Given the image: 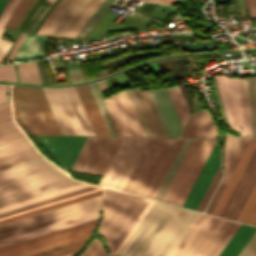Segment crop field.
<instances>
[{"mask_svg": "<svg viewBox=\"0 0 256 256\" xmlns=\"http://www.w3.org/2000/svg\"><path fill=\"white\" fill-rule=\"evenodd\" d=\"M255 231L256 227L241 224L218 256H237Z\"/></svg>", "mask_w": 256, "mask_h": 256, "instance_id": "4177f3b9", "label": "crop field"}, {"mask_svg": "<svg viewBox=\"0 0 256 256\" xmlns=\"http://www.w3.org/2000/svg\"><path fill=\"white\" fill-rule=\"evenodd\" d=\"M251 256H256V250L254 251V253Z\"/></svg>", "mask_w": 256, "mask_h": 256, "instance_id": "db79e9e6", "label": "crop field"}, {"mask_svg": "<svg viewBox=\"0 0 256 256\" xmlns=\"http://www.w3.org/2000/svg\"><path fill=\"white\" fill-rule=\"evenodd\" d=\"M24 140H27V138L24 137V138L17 139V140L8 142V143L1 144V145H0V148H1V147H4V146H7V145H11V144L17 143V142H20V141H24Z\"/></svg>", "mask_w": 256, "mask_h": 256, "instance_id": "dbb93151", "label": "crop field"}, {"mask_svg": "<svg viewBox=\"0 0 256 256\" xmlns=\"http://www.w3.org/2000/svg\"><path fill=\"white\" fill-rule=\"evenodd\" d=\"M8 85H0V103L7 101Z\"/></svg>", "mask_w": 256, "mask_h": 256, "instance_id": "25e5ab78", "label": "crop field"}, {"mask_svg": "<svg viewBox=\"0 0 256 256\" xmlns=\"http://www.w3.org/2000/svg\"><path fill=\"white\" fill-rule=\"evenodd\" d=\"M100 196L0 226V238L99 208Z\"/></svg>", "mask_w": 256, "mask_h": 256, "instance_id": "cbeb9de0", "label": "crop field"}, {"mask_svg": "<svg viewBox=\"0 0 256 256\" xmlns=\"http://www.w3.org/2000/svg\"><path fill=\"white\" fill-rule=\"evenodd\" d=\"M43 146L65 171L71 166L86 137L38 136ZM66 164V167L64 165ZM67 172V171H66Z\"/></svg>", "mask_w": 256, "mask_h": 256, "instance_id": "4a817a6b", "label": "crop field"}, {"mask_svg": "<svg viewBox=\"0 0 256 256\" xmlns=\"http://www.w3.org/2000/svg\"><path fill=\"white\" fill-rule=\"evenodd\" d=\"M12 106L14 119L32 132L61 135L41 88L13 86Z\"/></svg>", "mask_w": 256, "mask_h": 256, "instance_id": "d8731c3e", "label": "crop field"}, {"mask_svg": "<svg viewBox=\"0 0 256 256\" xmlns=\"http://www.w3.org/2000/svg\"><path fill=\"white\" fill-rule=\"evenodd\" d=\"M221 176H222L221 171L218 168V170H217L213 180L211 181V183H210V185H209L205 195L203 196V198H202V200H201V202H200V204H199V206L197 208L198 211H204V209H205V207H206V205H207V203H208L212 193L214 192V190H215V188H216V186H217Z\"/></svg>", "mask_w": 256, "mask_h": 256, "instance_id": "5866460e", "label": "crop field"}, {"mask_svg": "<svg viewBox=\"0 0 256 256\" xmlns=\"http://www.w3.org/2000/svg\"><path fill=\"white\" fill-rule=\"evenodd\" d=\"M102 187L83 183L30 200H26L17 204L0 208V220L26 213L35 209H39L48 205L62 202L71 198H75L84 194L101 190Z\"/></svg>", "mask_w": 256, "mask_h": 256, "instance_id": "d9b57169", "label": "crop field"}, {"mask_svg": "<svg viewBox=\"0 0 256 256\" xmlns=\"http://www.w3.org/2000/svg\"><path fill=\"white\" fill-rule=\"evenodd\" d=\"M171 99L176 107V110L180 116V119L184 125L188 115H189V110L187 108L186 102L184 100V97L182 95V92L179 88V86L168 88L167 89Z\"/></svg>", "mask_w": 256, "mask_h": 256, "instance_id": "750c4746", "label": "crop field"}, {"mask_svg": "<svg viewBox=\"0 0 256 256\" xmlns=\"http://www.w3.org/2000/svg\"><path fill=\"white\" fill-rule=\"evenodd\" d=\"M44 158L0 170V207L82 183Z\"/></svg>", "mask_w": 256, "mask_h": 256, "instance_id": "ac0d7876", "label": "crop field"}, {"mask_svg": "<svg viewBox=\"0 0 256 256\" xmlns=\"http://www.w3.org/2000/svg\"><path fill=\"white\" fill-rule=\"evenodd\" d=\"M255 145H256V139H252L251 138L249 140V142H248V144H247V146H246V148H245V150H244V152H243V154H242L238 164L236 165V167H235V169H234V171H233V173H232V175H231V177H230V179H229L225 189L223 190V192H222V194H221V196H220V198H219V200H218V202H217L213 212H212L213 215H217L218 216L220 214V212H221V210H222V208H223V206H224L228 196L230 195V193H231V191H232V189H233V187H234L238 177L240 176V174H241V172H242V170H243L247 160L249 159V157H250V155H251Z\"/></svg>", "mask_w": 256, "mask_h": 256, "instance_id": "a9b5d70f", "label": "crop field"}, {"mask_svg": "<svg viewBox=\"0 0 256 256\" xmlns=\"http://www.w3.org/2000/svg\"><path fill=\"white\" fill-rule=\"evenodd\" d=\"M12 113H11V108L6 107V108H2L0 109V124L5 123V122H9L12 121Z\"/></svg>", "mask_w": 256, "mask_h": 256, "instance_id": "b54c1fbb", "label": "crop field"}, {"mask_svg": "<svg viewBox=\"0 0 256 256\" xmlns=\"http://www.w3.org/2000/svg\"><path fill=\"white\" fill-rule=\"evenodd\" d=\"M45 40L43 37L27 34L13 61L44 56L42 48Z\"/></svg>", "mask_w": 256, "mask_h": 256, "instance_id": "730fd06b", "label": "crop field"}, {"mask_svg": "<svg viewBox=\"0 0 256 256\" xmlns=\"http://www.w3.org/2000/svg\"><path fill=\"white\" fill-rule=\"evenodd\" d=\"M101 192H102V190L98 191V192L88 194V195H84V196H81V197H78V198H75V199H71V200H68V201H65V202H62V203H58V204H55V205H52V206H48V207H45V208H42V209H39V210H35V211L29 212V213H26V214H22V215H19V216H16V217H12V218L0 221V225L9 223V222H12V221H15V220H19V219H22V218H25V217H28V216H32V215H35V214H38V213H41V212H45V211H48V210H51V209H54V208H58V207H61V206L67 205V204H71V203H74V202H77V201H80V200H84V199H87V198H90V197H93V196H97V195H100Z\"/></svg>", "mask_w": 256, "mask_h": 256, "instance_id": "bd1437ed", "label": "crop field"}, {"mask_svg": "<svg viewBox=\"0 0 256 256\" xmlns=\"http://www.w3.org/2000/svg\"><path fill=\"white\" fill-rule=\"evenodd\" d=\"M113 2L114 0H105L75 37L84 38Z\"/></svg>", "mask_w": 256, "mask_h": 256, "instance_id": "d32e631a", "label": "crop field"}, {"mask_svg": "<svg viewBox=\"0 0 256 256\" xmlns=\"http://www.w3.org/2000/svg\"><path fill=\"white\" fill-rule=\"evenodd\" d=\"M238 139H239L238 137H234L231 134L226 132V142H225V146H224L225 164H226L231 152L233 151ZM248 140H249V138H245V137H241L239 139L233 153L231 154V156L225 166V175H224L219 187L217 188L213 198L211 199L205 212L211 214V212H212L223 188L225 187L236 163L238 162Z\"/></svg>", "mask_w": 256, "mask_h": 256, "instance_id": "92a150f3", "label": "crop field"}, {"mask_svg": "<svg viewBox=\"0 0 256 256\" xmlns=\"http://www.w3.org/2000/svg\"><path fill=\"white\" fill-rule=\"evenodd\" d=\"M180 137L189 138H216L217 127L208 110L190 116Z\"/></svg>", "mask_w": 256, "mask_h": 256, "instance_id": "dafd665d", "label": "crop field"}, {"mask_svg": "<svg viewBox=\"0 0 256 256\" xmlns=\"http://www.w3.org/2000/svg\"><path fill=\"white\" fill-rule=\"evenodd\" d=\"M69 135H94L74 87L49 89ZM48 89H43L62 134H68Z\"/></svg>", "mask_w": 256, "mask_h": 256, "instance_id": "3316defc", "label": "crop field"}, {"mask_svg": "<svg viewBox=\"0 0 256 256\" xmlns=\"http://www.w3.org/2000/svg\"><path fill=\"white\" fill-rule=\"evenodd\" d=\"M81 256H112L105 252L100 240L94 238L87 250Z\"/></svg>", "mask_w": 256, "mask_h": 256, "instance_id": "028f5c9d", "label": "crop field"}, {"mask_svg": "<svg viewBox=\"0 0 256 256\" xmlns=\"http://www.w3.org/2000/svg\"><path fill=\"white\" fill-rule=\"evenodd\" d=\"M6 2H7V0H0V12H1V10L4 7Z\"/></svg>", "mask_w": 256, "mask_h": 256, "instance_id": "1d79db26", "label": "crop field"}, {"mask_svg": "<svg viewBox=\"0 0 256 256\" xmlns=\"http://www.w3.org/2000/svg\"><path fill=\"white\" fill-rule=\"evenodd\" d=\"M96 220L1 248L0 256H33L62 245L85 240L92 233Z\"/></svg>", "mask_w": 256, "mask_h": 256, "instance_id": "28ad6ade", "label": "crop field"}, {"mask_svg": "<svg viewBox=\"0 0 256 256\" xmlns=\"http://www.w3.org/2000/svg\"><path fill=\"white\" fill-rule=\"evenodd\" d=\"M32 147V144L29 142V140L24 141V142H20L11 146H7L4 148L0 149V156L5 155V154H9L15 151H19L25 148H29Z\"/></svg>", "mask_w": 256, "mask_h": 256, "instance_id": "b80d0937", "label": "crop field"}, {"mask_svg": "<svg viewBox=\"0 0 256 256\" xmlns=\"http://www.w3.org/2000/svg\"><path fill=\"white\" fill-rule=\"evenodd\" d=\"M111 136H119L97 84H88Z\"/></svg>", "mask_w": 256, "mask_h": 256, "instance_id": "eef30255", "label": "crop field"}, {"mask_svg": "<svg viewBox=\"0 0 256 256\" xmlns=\"http://www.w3.org/2000/svg\"><path fill=\"white\" fill-rule=\"evenodd\" d=\"M0 80L16 82L13 65L0 66Z\"/></svg>", "mask_w": 256, "mask_h": 256, "instance_id": "c035e120", "label": "crop field"}, {"mask_svg": "<svg viewBox=\"0 0 256 256\" xmlns=\"http://www.w3.org/2000/svg\"><path fill=\"white\" fill-rule=\"evenodd\" d=\"M254 225L256 226V221H255Z\"/></svg>", "mask_w": 256, "mask_h": 256, "instance_id": "78b8030e", "label": "crop field"}, {"mask_svg": "<svg viewBox=\"0 0 256 256\" xmlns=\"http://www.w3.org/2000/svg\"><path fill=\"white\" fill-rule=\"evenodd\" d=\"M93 137H88L72 170H77ZM122 138L94 137L77 171L103 175Z\"/></svg>", "mask_w": 256, "mask_h": 256, "instance_id": "5142ce71", "label": "crop field"}, {"mask_svg": "<svg viewBox=\"0 0 256 256\" xmlns=\"http://www.w3.org/2000/svg\"><path fill=\"white\" fill-rule=\"evenodd\" d=\"M196 95H197V93L195 92L192 114L195 113L196 111L200 110V106H199L198 100L196 98Z\"/></svg>", "mask_w": 256, "mask_h": 256, "instance_id": "89e229c0", "label": "crop field"}, {"mask_svg": "<svg viewBox=\"0 0 256 256\" xmlns=\"http://www.w3.org/2000/svg\"><path fill=\"white\" fill-rule=\"evenodd\" d=\"M13 1H14V0H8V2L6 3V5H5V7H4V9H3V11H2V13H1V15H0V25H1V23H2V21H3V19H4V17H5V15H6V13H7L9 7H10V5L12 4Z\"/></svg>", "mask_w": 256, "mask_h": 256, "instance_id": "73cf0c24", "label": "crop field"}, {"mask_svg": "<svg viewBox=\"0 0 256 256\" xmlns=\"http://www.w3.org/2000/svg\"><path fill=\"white\" fill-rule=\"evenodd\" d=\"M143 1H151V2H159V3H168V4H172V3L175 2L176 0H143Z\"/></svg>", "mask_w": 256, "mask_h": 256, "instance_id": "0fb4a251", "label": "crop field"}, {"mask_svg": "<svg viewBox=\"0 0 256 256\" xmlns=\"http://www.w3.org/2000/svg\"><path fill=\"white\" fill-rule=\"evenodd\" d=\"M84 242L85 241H82V242H79V243H76V244H72V245H68V246H65L63 248H60V249H57V250H54V251H51V252H48V253H44V254H41V255H38V256H61V255L67 254V253H71V252L76 251L80 247H82Z\"/></svg>", "mask_w": 256, "mask_h": 256, "instance_id": "e1f06a70", "label": "crop field"}, {"mask_svg": "<svg viewBox=\"0 0 256 256\" xmlns=\"http://www.w3.org/2000/svg\"><path fill=\"white\" fill-rule=\"evenodd\" d=\"M148 138H123L100 185L122 190Z\"/></svg>", "mask_w": 256, "mask_h": 256, "instance_id": "22f410ed", "label": "crop field"}, {"mask_svg": "<svg viewBox=\"0 0 256 256\" xmlns=\"http://www.w3.org/2000/svg\"><path fill=\"white\" fill-rule=\"evenodd\" d=\"M126 92L145 136H178L183 125L166 88Z\"/></svg>", "mask_w": 256, "mask_h": 256, "instance_id": "dd49c442", "label": "crop field"}, {"mask_svg": "<svg viewBox=\"0 0 256 256\" xmlns=\"http://www.w3.org/2000/svg\"><path fill=\"white\" fill-rule=\"evenodd\" d=\"M215 83L222 99L229 127L239 132L238 125H242L244 135L252 137L249 108H241V103L242 107H248L245 80H239L241 103L238 79L215 75Z\"/></svg>", "mask_w": 256, "mask_h": 256, "instance_id": "d1516ede", "label": "crop field"}, {"mask_svg": "<svg viewBox=\"0 0 256 256\" xmlns=\"http://www.w3.org/2000/svg\"><path fill=\"white\" fill-rule=\"evenodd\" d=\"M256 249V232L238 256H250Z\"/></svg>", "mask_w": 256, "mask_h": 256, "instance_id": "c21b1889", "label": "crop field"}, {"mask_svg": "<svg viewBox=\"0 0 256 256\" xmlns=\"http://www.w3.org/2000/svg\"><path fill=\"white\" fill-rule=\"evenodd\" d=\"M154 200L104 188L103 217L98 229L110 253L116 254Z\"/></svg>", "mask_w": 256, "mask_h": 256, "instance_id": "34b2d1b8", "label": "crop field"}, {"mask_svg": "<svg viewBox=\"0 0 256 256\" xmlns=\"http://www.w3.org/2000/svg\"><path fill=\"white\" fill-rule=\"evenodd\" d=\"M20 137H24L23 133L21 131L15 132V133L0 137V143H4V142L10 141V140H14V139H17V138H20Z\"/></svg>", "mask_w": 256, "mask_h": 256, "instance_id": "d23c7cc5", "label": "crop field"}, {"mask_svg": "<svg viewBox=\"0 0 256 256\" xmlns=\"http://www.w3.org/2000/svg\"><path fill=\"white\" fill-rule=\"evenodd\" d=\"M49 4H50V2H46V1H44V2H43V4H42V6L47 5V7H48V6H49Z\"/></svg>", "mask_w": 256, "mask_h": 256, "instance_id": "0765c3eb", "label": "crop field"}, {"mask_svg": "<svg viewBox=\"0 0 256 256\" xmlns=\"http://www.w3.org/2000/svg\"><path fill=\"white\" fill-rule=\"evenodd\" d=\"M99 210V209H98ZM98 210L0 239V248L97 218Z\"/></svg>", "mask_w": 256, "mask_h": 256, "instance_id": "214f88e0", "label": "crop field"}, {"mask_svg": "<svg viewBox=\"0 0 256 256\" xmlns=\"http://www.w3.org/2000/svg\"><path fill=\"white\" fill-rule=\"evenodd\" d=\"M214 142L185 139L155 199L182 206Z\"/></svg>", "mask_w": 256, "mask_h": 256, "instance_id": "f4fd0767", "label": "crop field"}, {"mask_svg": "<svg viewBox=\"0 0 256 256\" xmlns=\"http://www.w3.org/2000/svg\"><path fill=\"white\" fill-rule=\"evenodd\" d=\"M33 20H30V22L28 23V25L26 26L27 28H29L30 24L32 23ZM37 21H33V23L31 24L29 29H24L25 32H29L31 33L32 29L34 28V26L36 25Z\"/></svg>", "mask_w": 256, "mask_h": 256, "instance_id": "1f2cbd36", "label": "crop field"}, {"mask_svg": "<svg viewBox=\"0 0 256 256\" xmlns=\"http://www.w3.org/2000/svg\"><path fill=\"white\" fill-rule=\"evenodd\" d=\"M39 1H40V0H36V2L34 3V5L32 6V8L30 9V11L28 12V14L26 15V17L29 16V14L31 13V11L33 10V8L35 7V5H36ZM43 1H44V0H41V1L37 4V6L34 8V10L32 11V13L30 14V16L27 17V19H26V17L24 18V20L22 21V23H21V24L19 25V27L17 28V31H19V29L21 28L23 22H24L25 19H26V21H25L23 27H22L21 30H20V31H23L25 25L27 24V22L29 21V19L32 17V15H33L34 12L36 11V9L41 5V3H42Z\"/></svg>", "mask_w": 256, "mask_h": 256, "instance_id": "5d738f31", "label": "crop field"}, {"mask_svg": "<svg viewBox=\"0 0 256 256\" xmlns=\"http://www.w3.org/2000/svg\"><path fill=\"white\" fill-rule=\"evenodd\" d=\"M256 147L250 157V159L248 160L240 178L238 179L230 197L228 198L220 216L221 217H225V218H229V219H233L236 220L244 202L246 201L255 181H256ZM255 153V155H254ZM254 155V157H253ZM253 157V159H252ZM252 159V161H251ZM251 161V163H250ZM250 163V165H249ZM249 165V167H248ZM255 166V168H254ZM248 167V169H247ZM254 168V170H253ZM247 169V171L249 172H253L252 173H248L245 172Z\"/></svg>", "mask_w": 256, "mask_h": 256, "instance_id": "733c2abd", "label": "crop field"}, {"mask_svg": "<svg viewBox=\"0 0 256 256\" xmlns=\"http://www.w3.org/2000/svg\"><path fill=\"white\" fill-rule=\"evenodd\" d=\"M19 131L14 121L0 125V136Z\"/></svg>", "mask_w": 256, "mask_h": 256, "instance_id": "03da06ac", "label": "crop field"}, {"mask_svg": "<svg viewBox=\"0 0 256 256\" xmlns=\"http://www.w3.org/2000/svg\"><path fill=\"white\" fill-rule=\"evenodd\" d=\"M73 253H71V254H68V255H64V256H71Z\"/></svg>", "mask_w": 256, "mask_h": 256, "instance_id": "7b73153f", "label": "crop field"}, {"mask_svg": "<svg viewBox=\"0 0 256 256\" xmlns=\"http://www.w3.org/2000/svg\"><path fill=\"white\" fill-rule=\"evenodd\" d=\"M199 215L155 201L117 255L169 256Z\"/></svg>", "mask_w": 256, "mask_h": 256, "instance_id": "8a807250", "label": "crop field"}, {"mask_svg": "<svg viewBox=\"0 0 256 256\" xmlns=\"http://www.w3.org/2000/svg\"><path fill=\"white\" fill-rule=\"evenodd\" d=\"M9 105H10V102L5 103V104H1V105H0V108H2V107H6V106H9Z\"/></svg>", "mask_w": 256, "mask_h": 256, "instance_id": "447ae74e", "label": "crop field"}, {"mask_svg": "<svg viewBox=\"0 0 256 256\" xmlns=\"http://www.w3.org/2000/svg\"><path fill=\"white\" fill-rule=\"evenodd\" d=\"M25 36H26V34L21 33V35H20L14 49L12 50L10 56L8 57L7 61H12L14 55L16 54V52H17L18 48L20 47L22 41L24 40Z\"/></svg>", "mask_w": 256, "mask_h": 256, "instance_id": "425ffa30", "label": "crop field"}, {"mask_svg": "<svg viewBox=\"0 0 256 256\" xmlns=\"http://www.w3.org/2000/svg\"><path fill=\"white\" fill-rule=\"evenodd\" d=\"M253 137H256V77L246 79Z\"/></svg>", "mask_w": 256, "mask_h": 256, "instance_id": "120bbe31", "label": "crop field"}, {"mask_svg": "<svg viewBox=\"0 0 256 256\" xmlns=\"http://www.w3.org/2000/svg\"><path fill=\"white\" fill-rule=\"evenodd\" d=\"M19 1L20 0H15L14 3L12 4V6H11V8H10V10H9V12H8V14H7V16H6L2 26H1V28H0V35H1L2 31H3L2 28H3L4 24H5L8 16L10 15V13L12 12V10L14 9V7L16 6V4ZM10 45H11V42L3 40V39L0 38V61H3V59H4V57H5L6 53H7Z\"/></svg>", "mask_w": 256, "mask_h": 256, "instance_id": "0bd39190", "label": "crop field"}, {"mask_svg": "<svg viewBox=\"0 0 256 256\" xmlns=\"http://www.w3.org/2000/svg\"><path fill=\"white\" fill-rule=\"evenodd\" d=\"M256 219V183L245 202L237 220L253 225Z\"/></svg>", "mask_w": 256, "mask_h": 256, "instance_id": "ae1a2a85", "label": "crop field"}, {"mask_svg": "<svg viewBox=\"0 0 256 256\" xmlns=\"http://www.w3.org/2000/svg\"><path fill=\"white\" fill-rule=\"evenodd\" d=\"M96 135L110 136L87 85L75 87Z\"/></svg>", "mask_w": 256, "mask_h": 256, "instance_id": "00972430", "label": "crop field"}, {"mask_svg": "<svg viewBox=\"0 0 256 256\" xmlns=\"http://www.w3.org/2000/svg\"><path fill=\"white\" fill-rule=\"evenodd\" d=\"M219 165L218 142H215L206 162L204 163L194 185L192 186L183 207L196 210L206 188L208 187Z\"/></svg>", "mask_w": 256, "mask_h": 256, "instance_id": "bc2a9ffb", "label": "crop field"}, {"mask_svg": "<svg viewBox=\"0 0 256 256\" xmlns=\"http://www.w3.org/2000/svg\"><path fill=\"white\" fill-rule=\"evenodd\" d=\"M182 141L149 138L123 191L154 199Z\"/></svg>", "mask_w": 256, "mask_h": 256, "instance_id": "412701ff", "label": "crop field"}, {"mask_svg": "<svg viewBox=\"0 0 256 256\" xmlns=\"http://www.w3.org/2000/svg\"><path fill=\"white\" fill-rule=\"evenodd\" d=\"M34 1L35 0H21L11 13L4 27L16 30Z\"/></svg>", "mask_w": 256, "mask_h": 256, "instance_id": "d3111659", "label": "crop field"}, {"mask_svg": "<svg viewBox=\"0 0 256 256\" xmlns=\"http://www.w3.org/2000/svg\"><path fill=\"white\" fill-rule=\"evenodd\" d=\"M21 82L42 83L35 62L17 65Z\"/></svg>", "mask_w": 256, "mask_h": 256, "instance_id": "1d83c4d3", "label": "crop field"}, {"mask_svg": "<svg viewBox=\"0 0 256 256\" xmlns=\"http://www.w3.org/2000/svg\"><path fill=\"white\" fill-rule=\"evenodd\" d=\"M104 0H60L37 34L74 37Z\"/></svg>", "mask_w": 256, "mask_h": 256, "instance_id": "5a996713", "label": "crop field"}, {"mask_svg": "<svg viewBox=\"0 0 256 256\" xmlns=\"http://www.w3.org/2000/svg\"><path fill=\"white\" fill-rule=\"evenodd\" d=\"M47 1H50V2L53 3L55 0H47ZM52 3H51V4H52ZM51 4H50V5H51ZM49 7H50V6H49ZM49 7H48V8H49ZM39 8H40V7H39ZM39 8H38V9H39ZM48 8H47V9H48ZM38 9H37V10H38ZM42 9H43V8H42ZM47 9H46V11H47ZM46 11H45V12H46ZM36 12H37V11H36ZM36 12H35V13H36ZM40 12H41V11H40ZM40 12H39V13H40ZM45 12H44V13H45ZM44 13H43V14H44ZM34 15H35V14H34ZM34 15H33V16H34ZM38 15H39V14H38ZM38 15L36 16V18L38 17ZM42 16H43V15H42ZM42 16H41V17H42ZM41 17H40V18H41ZM36 18H35V19H36ZM39 20H40V19H39Z\"/></svg>", "mask_w": 256, "mask_h": 256, "instance_id": "9d1cf04e", "label": "crop field"}, {"mask_svg": "<svg viewBox=\"0 0 256 256\" xmlns=\"http://www.w3.org/2000/svg\"><path fill=\"white\" fill-rule=\"evenodd\" d=\"M239 226L201 213L171 256H217Z\"/></svg>", "mask_w": 256, "mask_h": 256, "instance_id": "e52e79f7", "label": "crop field"}]
</instances>
